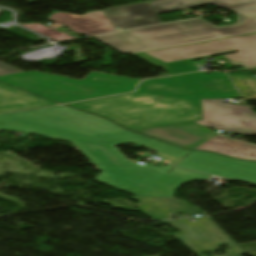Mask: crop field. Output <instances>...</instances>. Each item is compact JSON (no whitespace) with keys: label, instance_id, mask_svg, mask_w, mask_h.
Here are the masks:
<instances>
[{"label":"crop field","instance_id":"1","mask_svg":"<svg viewBox=\"0 0 256 256\" xmlns=\"http://www.w3.org/2000/svg\"><path fill=\"white\" fill-rule=\"evenodd\" d=\"M215 82L229 86L230 92L204 88ZM210 98L241 97L226 75L200 72L146 80L130 95L69 105L137 131L202 120L201 99Z\"/></svg>","mask_w":256,"mask_h":256},{"label":"crop field","instance_id":"2","mask_svg":"<svg viewBox=\"0 0 256 256\" xmlns=\"http://www.w3.org/2000/svg\"><path fill=\"white\" fill-rule=\"evenodd\" d=\"M73 143L102 171L95 180L135 196L174 198L176 190L182 183L193 179L206 180L210 177L177 167L168 174L125 163L128 160L114 147L115 145L133 143L156 151L167 144L133 132Z\"/></svg>","mask_w":256,"mask_h":256},{"label":"crop field","instance_id":"3","mask_svg":"<svg viewBox=\"0 0 256 256\" xmlns=\"http://www.w3.org/2000/svg\"><path fill=\"white\" fill-rule=\"evenodd\" d=\"M237 13L238 22L230 26L215 27L200 18L94 38L124 54H135L255 33L256 8Z\"/></svg>","mask_w":256,"mask_h":256},{"label":"crop field","instance_id":"4","mask_svg":"<svg viewBox=\"0 0 256 256\" xmlns=\"http://www.w3.org/2000/svg\"><path fill=\"white\" fill-rule=\"evenodd\" d=\"M0 81L61 103L134 91L139 82L95 72L79 81L36 71L0 76Z\"/></svg>","mask_w":256,"mask_h":256},{"label":"crop field","instance_id":"5","mask_svg":"<svg viewBox=\"0 0 256 256\" xmlns=\"http://www.w3.org/2000/svg\"><path fill=\"white\" fill-rule=\"evenodd\" d=\"M235 51L239 52L224 56L231 65H241L244 68L256 66V34L145 52L135 56L172 75L198 71L192 63L193 59Z\"/></svg>","mask_w":256,"mask_h":256},{"label":"crop field","instance_id":"6","mask_svg":"<svg viewBox=\"0 0 256 256\" xmlns=\"http://www.w3.org/2000/svg\"><path fill=\"white\" fill-rule=\"evenodd\" d=\"M8 115L91 138L128 132L110 121L65 105Z\"/></svg>","mask_w":256,"mask_h":256},{"label":"crop field","instance_id":"7","mask_svg":"<svg viewBox=\"0 0 256 256\" xmlns=\"http://www.w3.org/2000/svg\"><path fill=\"white\" fill-rule=\"evenodd\" d=\"M196 222L188 220H175V225L181 230L174 236L185 243L197 255L204 256L203 253L211 252L217 256L216 250H222L219 246L223 243L231 250L225 251L222 256H241L246 252L235 243L227 234H225L209 217L194 218Z\"/></svg>","mask_w":256,"mask_h":256},{"label":"crop field","instance_id":"8","mask_svg":"<svg viewBox=\"0 0 256 256\" xmlns=\"http://www.w3.org/2000/svg\"><path fill=\"white\" fill-rule=\"evenodd\" d=\"M203 121L196 123L238 134H256V114L249 106L223 104V99L202 100Z\"/></svg>","mask_w":256,"mask_h":256},{"label":"crop field","instance_id":"9","mask_svg":"<svg viewBox=\"0 0 256 256\" xmlns=\"http://www.w3.org/2000/svg\"><path fill=\"white\" fill-rule=\"evenodd\" d=\"M177 166L220 177L256 184V163L237 161L210 152L193 151Z\"/></svg>","mask_w":256,"mask_h":256},{"label":"crop field","instance_id":"10","mask_svg":"<svg viewBox=\"0 0 256 256\" xmlns=\"http://www.w3.org/2000/svg\"><path fill=\"white\" fill-rule=\"evenodd\" d=\"M103 11L115 28L126 29L161 22L149 2L109 8Z\"/></svg>","mask_w":256,"mask_h":256},{"label":"crop field","instance_id":"11","mask_svg":"<svg viewBox=\"0 0 256 256\" xmlns=\"http://www.w3.org/2000/svg\"><path fill=\"white\" fill-rule=\"evenodd\" d=\"M137 133L155 137L183 148L214 134L194 122L138 131Z\"/></svg>","mask_w":256,"mask_h":256},{"label":"crop field","instance_id":"12","mask_svg":"<svg viewBox=\"0 0 256 256\" xmlns=\"http://www.w3.org/2000/svg\"><path fill=\"white\" fill-rule=\"evenodd\" d=\"M49 21L59 25L64 24L74 32L82 33L87 36L115 30V27L113 28L102 11L90 12L85 16L56 13L49 18Z\"/></svg>","mask_w":256,"mask_h":256},{"label":"crop field","instance_id":"13","mask_svg":"<svg viewBox=\"0 0 256 256\" xmlns=\"http://www.w3.org/2000/svg\"><path fill=\"white\" fill-rule=\"evenodd\" d=\"M0 130L20 131L40 135L50 139H60L74 141L79 139H87V137L77 134L65 132L62 130L50 128L36 123L20 120L17 118L1 115Z\"/></svg>","mask_w":256,"mask_h":256},{"label":"crop field","instance_id":"14","mask_svg":"<svg viewBox=\"0 0 256 256\" xmlns=\"http://www.w3.org/2000/svg\"><path fill=\"white\" fill-rule=\"evenodd\" d=\"M210 3L230 10L256 6V0H156L150 2L156 13L177 11Z\"/></svg>","mask_w":256,"mask_h":256},{"label":"crop field","instance_id":"15","mask_svg":"<svg viewBox=\"0 0 256 256\" xmlns=\"http://www.w3.org/2000/svg\"><path fill=\"white\" fill-rule=\"evenodd\" d=\"M196 149L209 150L227 156L256 160V146L216 136Z\"/></svg>","mask_w":256,"mask_h":256},{"label":"crop field","instance_id":"16","mask_svg":"<svg viewBox=\"0 0 256 256\" xmlns=\"http://www.w3.org/2000/svg\"><path fill=\"white\" fill-rule=\"evenodd\" d=\"M130 199L140 203L135 206L146 213L153 220L169 219L166 211L164 198L151 197H130Z\"/></svg>","mask_w":256,"mask_h":256},{"label":"crop field","instance_id":"17","mask_svg":"<svg viewBox=\"0 0 256 256\" xmlns=\"http://www.w3.org/2000/svg\"><path fill=\"white\" fill-rule=\"evenodd\" d=\"M50 105H57V104L40 97H36L31 99H25V100L0 104V113L22 110V109H29V108H36V107H43V106H50Z\"/></svg>","mask_w":256,"mask_h":256},{"label":"crop field","instance_id":"18","mask_svg":"<svg viewBox=\"0 0 256 256\" xmlns=\"http://www.w3.org/2000/svg\"><path fill=\"white\" fill-rule=\"evenodd\" d=\"M246 100L256 99V80L251 76H230Z\"/></svg>","mask_w":256,"mask_h":256},{"label":"crop field","instance_id":"19","mask_svg":"<svg viewBox=\"0 0 256 256\" xmlns=\"http://www.w3.org/2000/svg\"><path fill=\"white\" fill-rule=\"evenodd\" d=\"M167 200L171 215L185 213L189 214L190 217H193L194 214L202 213L203 216H205V214L198 207L188 204L185 200H176L170 198H167Z\"/></svg>","mask_w":256,"mask_h":256},{"label":"crop field","instance_id":"20","mask_svg":"<svg viewBox=\"0 0 256 256\" xmlns=\"http://www.w3.org/2000/svg\"><path fill=\"white\" fill-rule=\"evenodd\" d=\"M36 97L21 90L0 83V103Z\"/></svg>","mask_w":256,"mask_h":256},{"label":"crop field","instance_id":"21","mask_svg":"<svg viewBox=\"0 0 256 256\" xmlns=\"http://www.w3.org/2000/svg\"><path fill=\"white\" fill-rule=\"evenodd\" d=\"M26 28H29L33 31H36L38 33H41L45 36H48L50 38H52L54 41H62V40H68V39H74L70 36H67L65 34H62L58 31H55L53 29H50L48 27H45L43 25H40L38 23H33V24H30V25H22Z\"/></svg>","mask_w":256,"mask_h":256},{"label":"crop field","instance_id":"22","mask_svg":"<svg viewBox=\"0 0 256 256\" xmlns=\"http://www.w3.org/2000/svg\"><path fill=\"white\" fill-rule=\"evenodd\" d=\"M157 152L181 159L187 153H189L190 150H184V149H181L176 146L168 144V145L164 146L163 148H161L160 150H158Z\"/></svg>","mask_w":256,"mask_h":256},{"label":"crop field","instance_id":"23","mask_svg":"<svg viewBox=\"0 0 256 256\" xmlns=\"http://www.w3.org/2000/svg\"><path fill=\"white\" fill-rule=\"evenodd\" d=\"M21 72V70L11 67L0 62V75Z\"/></svg>","mask_w":256,"mask_h":256},{"label":"crop field","instance_id":"24","mask_svg":"<svg viewBox=\"0 0 256 256\" xmlns=\"http://www.w3.org/2000/svg\"><path fill=\"white\" fill-rule=\"evenodd\" d=\"M206 88L214 89V90H219V91H225V92H228L229 89H230L229 87L220 85V84H218V83H215V84H213V85H211V86H208V87H206Z\"/></svg>","mask_w":256,"mask_h":256},{"label":"crop field","instance_id":"25","mask_svg":"<svg viewBox=\"0 0 256 256\" xmlns=\"http://www.w3.org/2000/svg\"><path fill=\"white\" fill-rule=\"evenodd\" d=\"M128 163L136 164V163H133V162H128ZM136 165H140V164H136ZM140 166H143V165H140ZM144 167H149V168H153V169H157V170H161V171H165V172H168L172 168V166H169V165H166V166L161 167V168H156V167H152V166H148V165H146Z\"/></svg>","mask_w":256,"mask_h":256},{"label":"crop field","instance_id":"26","mask_svg":"<svg viewBox=\"0 0 256 256\" xmlns=\"http://www.w3.org/2000/svg\"><path fill=\"white\" fill-rule=\"evenodd\" d=\"M216 135L217 134H215V135H213V136H211V137H209V138H207V139H205V140H203V141H201V142H199V143H197V144H195V145H193V146H191V147H189L187 149H194V148L198 147L199 145L203 144L204 142L208 141L209 139L213 138Z\"/></svg>","mask_w":256,"mask_h":256},{"label":"crop field","instance_id":"27","mask_svg":"<svg viewBox=\"0 0 256 256\" xmlns=\"http://www.w3.org/2000/svg\"><path fill=\"white\" fill-rule=\"evenodd\" d=\"M163 224H168L174 227V229H177L172 223L171 221H162Z\"/></svg>","mask_w":256,"mask_h":256},{"label":"crop field","instance_id":"28","mask_svg":"<svg viewBox=\"0 0 256 256\" xmlns=\"http://www.w3.org/2000/svg\"><path fill=\"white\" fill-rule=\"evenodd\" d=\"M252 70L256 71V68H254V69H252Z\"/></svg>","mask_w":256,"mask_h":256}]
</instances>
